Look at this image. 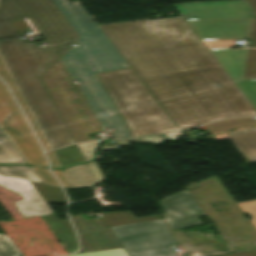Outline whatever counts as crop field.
Masks as SVG:
<instances>
[{"mask_svg": "<svg viewBox=\"0 0 256 256\" xmlns=\"http://www.w3.org/2000/svg\"><path fill=\"white\" fill-rule=\"evenodd\" d=\"M41 218L68 254L77 250L74 230L68 219L59 221L54 214L43 215Z\"/></svg>", "mask_w": 256, "mask_h": 256, "instance_id": "crop-field-15", "label": "crop field"}, {"mask_svg": "<svg viewBox=\"0 0 256 256\" xmlns=\"http://www.w3.org/2000/svg\"><path fill=\"white\" fill-rule=\"evenodd\" d=\"M160 202L166 209V221L171 229L200 224L197 217L203 216V213L188 191L179 192Z\"/></svg>", "mask_w": 256, "mask_h": 256, "instance_id": "crop-field-11", "label": "crop field"}, {"mask_svg": "<svg viewBox=\"0 0 256 256\" xmlns=\"http://www.w3.org/2000/svg\"><path fill=\"white\" fill-rule=\"evenodd\" d=\"M231 79H243L248 49L209 50Z\"/></svg>", "mask_w": 256, "mask_h": 256, "instance_id": "crop-field-13", "label": "crop field"}, {"mask_svg": "<svg viewBox=\"0 0 256 256\" xmlns=\"http://www.w3.org/2000/svg\"><path fill=\"white\" fill-rule=\"evenodd\" d=\"M244 96L256 109V80H233Z\"/></svg>", "mask_w": 256, "mask_h": 256, "instance_id": "crop-field-25", "label": "crop field"}, {"mask_svg": "<svg viewBox=\"0 0 256 256\" xmlns=\"http://www.w3.org/2000/svg\"><path fill=\"white\" fill-rule=\"evenodd\" d=\"M0 163L5 164H26L20 154L7 140L0 130Z\"/></svg>", "mask_w": 256, "mask_h": 256, "instance_id": "crop-field-19", "label": "crop field"}, {"mask_svg": "<svg viewBox=\"0 0 256 256\" xmlns=\"http://www.w3.org/2000/svg\"><path fill=\"white\" fill-rule=\"evenodd\" d=\"M71 256H129V255L124 248H118V249H110V250L84 252L80 254H73Z\"/></svg>", "mask_w": 256, "mask_h": 256, "instance_id": "crop-field-28", "label": "crop field"}, {"mask_svg": "<svg viewBox=\"0 0 256 256\" xmlns=\"http://www.w3.org/2000/svg\"><path fill=\"white\" fill-rule=\"evenodd\" d=\"M46 203H66V198L61 188L31 182Z\"/></svg>", "mask_w": 256, "mask_h": 256, "instance_id": "crop-field-20", "label": "crop field"}, {"mask_svg": "<svg viewBox=\"0 0 256 256\" xmlns=\"http://www.w3.org/2000/svg\"><path fill=\"white\" fill-rule=\"evenodd\" d=\"M70 217L79 234L80 252L123 247L103 219L85 220L82 215Z\"/></svg>", "mask_w": 256, "mask_h": 256, "instance_id": "crop-field-10", "label": "crop field"}, {"mask_svg": "<svg viewBox=\"0 0 256 256\" xmlns=\"http://www.w3.org/2000/svg\"><path fill=\"white\" fill-rule=\"evenodd\" d=\"M47 155H48V158H49V160L51 162V167L52 168H60V166H59V164H58V162H57L53 152L52 151L48 152Z\"/></svg>", "mask_w": 256, "mask_h": 256, "instance_id": "crop-field-36", "label": "crop field"}, {"mask_svg": "<svg viewBox=\"0 0 256 256\" xmlns=\"http://www.w3.org/2000/svg\"><path fill=\"white\" fill-rule=\"evenodd\" d=\"M214 256H256V250L253 251H245L228 255H214Z\"/></svg>", "mask_w": 256, "mask_h": 256, "instance_id": "crop-field-35", "label": "crop field"}, {"mask_svg": "<svg viewBox=\"0 0 256 256\" xmlns=\"http://www.w3.org/2000/svg\"><path fill=\"white\" fill-rule=\"evenodd\" d=\"M139 140H143V141H147V142H152V143H157V142H163L165 140H163L160 137H148V138H142Z\"/></svg>", "mask_w": 256, "mask_h": 256, "instance_id": "crop-field-37", "label": "crop field"}, {"mask_svg": "<svg viewBox=\"0 0 256 256\" xmlns=\"http://www.w3.org/2000/svg\"><path fill=\"white\" fill-rule=\"evenodd\" d=\"M0 185L24 198L15 202L24 218L52 213L29 181L0 175Z\"/></svg>", "mask_w": 256, "mask_h": 256, "instance_id": "crop-field-12", "label": "crop field"}, {"mask_svg": "<svg viewBox=\"0 0 256 256\" xmlns=\"http://www.w3.org/2000/svg\"><path fill=\"white\" fill-rule=\"evenodd\" d=\"M73 188L96 185V182L86 164L77 165L64 170Z\"/></svg>", "mask_w": 256, "mask_h": 256, "instance_id": "crop-field-17", "label": "crop field"}, {"mask_svg": "<svg viewBox=\"0 0 256 256\" xmlns=\"http://www.w3.org/2000/svg\"><path fill=\"white\" fill-rule=\"evenodd\" d=\"M172 233L180 240L191 256H203L219 252L212 244L195 247L182 230Z\"/></svg>", "mask_w": 256, "mask_h": 256, "instance_id": "crop-field-21", "label": "crop field"}, {"mask_svg": "<svg viewBox=\"0 0 256 256\" xmlns=\"http://www.w3.org/2000/svg\"><path fill=\"white\" fill-rule=\"evenodd\" d=\"M111 230L130 256H176L174 249L178 243L164 220L113 227Z\"/></svg>", "mask_w": 256, "mask_h": 256, "instance_id": "crop-field-8", "label": "crop field"}, {"mask_svg": "<svg viewBox=\"0 0 256 256\" xmlns=\"http://www.w3.org/2000/svg\"><path fill=\"white\" fill-rule=\"evenodd\" d=\"M214 137L217 140L230 139L248 163L256 162V127L241 128Z\"/></svg>", "mask_w": 256, "mask_h": 256, "instance_id": "crop-field-14", "label": "crop field"}, {"mask_svg": "<svg viewBox=\"0 0 256 256\" xmlns=\"http://www.w3.org/2000/svg\"><path fill=\"white\" fill-rule=\"evenodd\" d=\"M109 227L161 219V215L136 219L131 211L101 214Z\"/></svg>", "mask_w": 256, "mask_h": 256, "instance_id": "crop-field-18", "label": "crop field"}, {"mask_svg": "<svg viewBox=\"0 0 256 256\" xmlns=\"http://www.w3.org/2000/svg\"><path fill=\"white\" fill-rule=\"evenodd\" d=\"M98 76L133 137L178 130L131 68Z\"/></svg>", "mask_w": 256, "mask_h": 256, "instance_id": "crop-field-4", "label": "crop field"}, {"mask_svg": "<svg viewBox=\"0 0 256 256\" xmlns=\"http://www.w3.org/2000/svg\"><path fill=\"white\" fill-rule=\"evenodd\" d=\"M52 170V169H51ZM63 186L71 188L63 170H52Z\"/></svg>", "mask_w": 256, "mask_h": 256, "instance_id": "crop-field-34", "label": "crop field"}, {"mask_svg": "<svg viewBox=\"0 0 256 256\" xmlns=\"http://www.w3.org/2000/svg\"><path fill=\"white\" fill-rule=\"evenodd\" d=\"M199 187L190 190L204 215L216 225L229 251L234 250L230 243L256 242V229L251 222L242 217V212L215 176L198 182ZM225 202L230 210L218 212L210 202ZM214 225V226H215Z\"/></svg>", "mask_w": 256, "mask_h": 256, "instance_id": "crop-field-7", "label": "crop field"}, {"mask_svg": "<svg viewBox=\"0 0 256 256\" xmlns=\"http://www.w3.org/2000/svg\"><path fill=\"white\" fill-rule=\"evenodd\" d=\"M40 79L75 142L89 140L88 134L102 131L59 59Z\"/></svg>", "mask_w": 256, "mask_h": 256, "instance_id": "crop-field-6", "label": "crop field"}, {"mask_svg": "<svg viewBox=\"0 0 256 256\" xmlns=\"http://www.w3.org/2000/svg\"><path fill=\"white\" fill-rule=\"evenodd\" d=\"M0 127L29 164L48 167L29 125L1 81Z\"/></svg>", "mask_w": 256, "mask_h": 256, "instance_id": "crop-field-9", "label": "crop field"}, {"mask_svg": "<svg viewBox=\"0 0 256 256\" xmlns=\"http://www.w3.org/2000/svg\"><path fill=\"white\" fill-rule=\"evenodd\" d=\"M247 1L253 7V9L255 10L249 47H256V0H247Z\"/></svg>", "mask_w": 256, "mask_h": 256, "instance_id": "crop-field-33", "label": "crop field"}, {"mask_svg": "<svg viewBox=\"0 0 256 256\" xmlns=\"http://www.w3.org/2000/svg\"><path fill=\"white\" fill-rule=\"evenodd\" d=\"M0 77L9 85L10 89L12 90V92L14 93L15 97L17 98L18 102L20 103L22 109L24 110L26 116L28 117L30 123L32 124L42 146L44 147L45 150H49L51 149L48 141L46 140L44 134L40 131H38L39 129V124L37 125L15 79L13 78L9 68L7 67L2 55L0 54Z\"/></svg>", "mask_w": 256, "mask_h": 256, "instance_id": "crop-field-16", "label": "crop field"}, {"mask_svg": "<svg viewBox=\"0 0 256 256\" xmlns=\"http://www.w3.org/2000/svg\"><path fill=\"white\" fill-rule=\"evenodd\" d=\"M130 142L147 143V142H143V141H139V140H136V141H117L119 146H128Z\"/></svg>", "mask_w": 256, "mask_h": 256, "instance_id": "crop-field-38", "label": "crop field"}, {"mask_svg": "<svg viewBox=\"0 0 256 256\" xmlns=\"http://www.w3.org/2000/svg\"><path fill=\"white\" fill-rule=\"evenodd\" d=\"M100 28L180 130L256 115L180 17Z\"/></svg>", "mask_w": 256, "mask_h": 256, "instance_id": "crop-field-1", "label": "crop field"}, {"mask_svg": "<svg viewBox=\"0 0 256 256\" xmlns=\"http://www.w3.org/2000/svg\"><path fill=\"white\" fill-rule=\"evenodd\" d=\"M115 148L116 147H111V146L101 147L95 160L99 159L101 151L115 149ZM87 166L89 167L90 171L92 172L97 184L100 183L104 177H103L98 165L95 162H91V163H87Z\"/></svg>", "mask_w": 256, "mask_h": 256, "instance_id": "crop-field-30", "label": "crop field"}, {"mask_svg": "<svg viewBox=\"0 0 256 256\" xmlns=\"http://www.w3.org/2000/svg\"><path fill=\"white\" fill-rule=\"evenodd\" d=\"M238 206L241 208L243 213L251 216L252 224L256 227V200L250 202L239 203Z\"/></svg>", "mask_w": 256, "mask_h": 256, "instance_id": "crop-field-32", "label": "crop field"}, {"mask_svg": "<svg viewBox=\"0 0 256 256\" xmlns=\"http://www.w3.org/2000/svg\"><path fill=\"white\" fill-rule=\"evenodd\" d=\"M244 79H256V49H249Z\"/></svg>", "mask_w": 256, "mask_h": 256, "instance_id": "crop-field-27", "label": "crop field"}, {"mask_svg": "<svg viewBox=\"0 0 256 256\" xmlns=\"http://www.w3.org/2000/svg\"><path fill=\"white\" fill-rule=\"evenodd\" d=\"M0 256H22L7 235L0 234Z\"/></svg>", "mask_w": 256, "mask_h": 256, "instance_id": "crop-field-26", "label": "crop field"}, {"mask_svg": "<svg viewBox=\"0 0 256 256\" xmlns=\"http://www.w3.org/2000/svg\"><path fill=\"white\" fill-rule=\"evenodd\" d=\"M0 174L41 183L30 166H0Z\"/></svg>", "mask_w": 256, "mask_h": 256, "instance_id": "crop-field-24", "label": "crop field"}, {"mask_svg": "<svg viewBox=\"0 0 256 256\" xmlns=\"http://www.w3.org/2000/svg\"><path fill=\"white\" fill-rule=\"evenodd\" d=\"M256 119L254 118H235L222 122L204 125L203 127L211 134L220 133L224 130L231 129L242 125H255Z\"/></svg>", "mask_w": 256, "mask_h": 256, "instance_id": "crop-field-22", "label": "crop field"}, {"mask_svg": "<svg viewBox=\"0 0 256 256\" xmlns=\"http://www.w3.org/2000/svg\"><path fill=\"white\" fill-rule=\"evenodd\" d=\"M200 40L249 39L254 10L246 0L174 5Z\"/></svg>", "mask_w": 256, "mask_h": 256, "instance_id": "crop-field-5", "label": "crop field"}, {"mask_svg": "<svg viewBox=\"0 0 256 256\" xmlns=\"http://www.w3.org/2000/svg\"><path fill=\"white\" fill-rule=\"evenodd\" d=\"M54 153L62 168L74 163H84V160L76 145H71L66 148L56 150Z\"/></svg>", "mask_w": 256, "mask_h": 256, "instance_id": "crop-field-23", "label": "crop field"}, {"mask_svg": "<svg viewBox=\"0 0 256 256\" xmlns=\"http://www.w3.org/2000/svg\"><path fill=\"white\" fill-rule=\"evenodd\" d=\"M98 144V140H95L77 145L86 162L92 160L93 154L96 151Z\"/></svg>", "mask_w": 256, "mask_h": 256, "instance_id": "crop-field-29", "label": "crop field"}, {"mask_svg": "<svg viewBox=\"0 0 256 256\" xmlns=\"http://www.w3.org/2000/svg\"><path fill=\"white\" fill-rule=\"evenodd\" d=\"M78 35V47L68 49L59 59L71 79L80 82V89L103 129L111 128L114 139L132 138L96 73L129 66L80 4L67 0H52ZM109 116L104 117L101 113Z\"/></svg>", "mask_w": 256, "mask_h": 256, "instance_id": "crop-field-3", "label": "crop field"}, {"mask_svg": "<svg viewBox=\"0 0 256 256\" xmlns=\"http://www.w3.org/2000/svg\"><path fill=\"white\" fill-rule=\"evenodd\" d=\"M31 168L37 174L42 183L59 186V184L54 180V178L51 176L46 168H39L34 166H31Z\"/></svg>", "mask_w": 256, "mask_h": 256, "instance_id": "crop-field-31", "label": "crop field"}, {"mask_svg": "<svg viewBox=\"0 0 256 256\" xmlns=\"http://www.w3.org/2000/svg\"><path fill=\"white\" fill-rule=\"evenodd\" d=\"M25 17L49 46L34 47L15 39L0 41V52L54 149L73 140L39 77L78 37L51 0H0V39L19 37L8 21Z\"/></svg>", "mask_w": 256, "mask_h": 256, "instance_id": "crop-field-2", "label": "crop field"}]
</instances>
